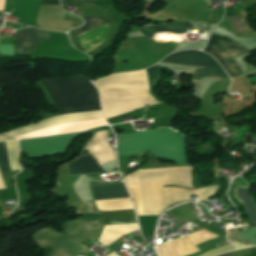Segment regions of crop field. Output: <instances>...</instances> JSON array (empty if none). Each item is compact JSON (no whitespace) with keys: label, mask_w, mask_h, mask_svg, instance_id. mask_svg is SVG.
<instances>
[{"label":"crop field","mask_w":256,"mask_h":256,"mask_svg":"<svg viewBox=\"0 0 256 256\" xmlns=\"http://www.w3.org/2000/svg\"><path fill=\"white\" fill-rule=\"evenodd\" d=\"M104 220L81 223L79 226L83 229L85 234L90 238H98L103 230Z\"/></svg>","instance_id":"crop-field-15"},{"label":"crop field","mask_w":256,"mask_h":256,"mask_svg":"<svg viewBox=\"0 0 256 256\" xmlns=\"http://www.w3.org/2000/svg\"><path fill=\"white\" fill-rule=\"evenodd\" d=\"M42 4H59L58 0H43Z\"/></svg>","instance_id":"crop-field-19"},{"label":"crop field","mask_w":256,"mask_h":256,"mask_svg":"<svg viewBox=\"0 0 256 256\" xmlns=\"http://www.w3.org/2000/svg\"><path fill=\"white\" fill-rule=\"evenodd\" d=\"M5 144H6L7 155H8V160H9L11 171L20 170L17 141L5 142ZM5 144H4V142H0V170H1V172L10 171L9 165H8V160H7V155H6V150H5ZM0 185H1L2 189H5L1 174H0Z\"/></svg>","instance_id":"crop-field-10"},{"label":"crop field","mask_w":256,"mask_h":256,"mask_svg":"<svg viewBox=\"0 0 256 256\" xmlns=\"http://www.w3.org/2000/svg\"><path fill=\"white\" fill-rule=\"evenodd\" d=\"M94 200L129 197L123 183H104L92 181ZM99 210L133 208L130 198L94 201ZM137 222L133 209L105 212V225ZM138 228L137 223L104 226L99 242L108 245L120 236Z\"/></svg>","instance_id":"crop-field-4"},{"label":"crop field","mask_w":256,"mask_h":256,"mask_svg":"<svg viewBox=\"0 0 256 256\" xmlns=\"http://www.w3.org/2000/svg\"><path fill=\"white\" fill-rule=\"evenodd\" d=\"M33 239L37 244L54 246L55 249L50 256H78L89 251L79 242L66 239L53 230L42 229L33 236Z\"/></svg>","instance_id":"crop-field-7"},{"label":"crop field","mask_w":256,"mask_h":256,"mask_svg":"<svg viewBox=\"0 0 256 256\" xmlns=\"http://www.w3.org/2000/svg\"><path fill=\"white\" fill-rule=\"evenodd\" d=\"M192 27L190 23H177V24H168L161 25L159 27H142L140 28L142 33L147 34H157V35H167L172 34L174 36L183 37L186 33V28Z\"/></svg>","instance_id":"crop-field-13"},{"label":"crop field","mask_w":256,"mask_h":256,"mask_svg":"<svg viewBox=\"0 0 256 256\" xmlns=\"http://www.w3.org/2000/svg\"><path fill=\"white\" fill-rule=\"evenodd\" d=\"M203 51L214 56L231 77L242 74L231 56L249 52L229 38L213 34L210 35L208 45Z\"/></svg>","instance_id":"crop-field-6"},{"label":"crop field","mask_w":256,"mask_h":256,"mask_svg":"<svg viewBox=\"0 0 256 256\" xmlns=\"http://www.w3.org/2000/svg\"><path fill=\"white\" fill-rule=\"evenodd\" d=\"M233 249H236V248L233 245L230 244L228 246L213 249V250H211V251H209L205 254H202L200 256H212V255L218 254L220 252L230 251V250H233Z\"/></svg>","instance_id":"crop-field-18"},{"label":"crop field","mask_w":256,"mask_h":256,"mask_svg":"<svg viewBox=\"0 0 256 256\" xmlns=\"http://www.w3.org/2000/svg\"><path fill=\"white\" fill-rule=\"evenodd\" d=\"M88 238L86 237V235L84 234V235H82L81 237H79L77 240H79V241H81L82 243L84 242V241H86Z\"/></svg>","instance_id":"crop-field-20"},{"label":"crop field","mask_w":256,"mask_h":256,"mask_svg":"<svg viewBox=\"0 0 256 256\" xmlns=\"http://www.w3.org/2000/svg\"><path fill=\"white\" fill-rule=\"evenodd\" d=\"M62 1H65V0H61V2H62ZM77 1H83V0H73V2H77Z\"/></svg>","instance_id":"crop-field-24"},{"label":"crop field","mask_w":256,"mask_h":256,"mask_svg":"<svg viewBox=\"0 0 256 256\" xmlns=\"http://www.w3.org/2000/svg\"><path fill=\"white\" fill-rule=\"evenodd\" d=\"M83 19L86 24L81 29H79L77 31V33H76L77 37L110 23V21H108L102 17H85Z\"/></svg>","instance_id":"crop-field-14"},{"label":"crop field","mask_w":256,"mask_h":256,"mask_svg":"<svg viewBox=\"0 0 256 256\" xmlns=\"http://www.w3.org/2000/svg\"><path fill=\"white\" fill-rule=\"evenodd\" d=\"M234 256H256V246L233 252Z\"/></svg>","instance_id":"crop-field-17"},{"label":"crop field","mask_w":256,"mask_h":256,"mask_svg":"<svg viewBox=\"0 0 256 256\" xmlns=\"http://www.w3.org/2000/svg\"><path fill=\"white\" fill-rule=\"evenodd\" d=\"M17 40L18 54H27L38 47L41 39H47L50 36L39 30L19 31L15 34Z\"/></svg>","instance_id":"crop-field-11"},{"label":"crop field","mask_w":256,"mask_h":256,"mask_svg":"<svg viewBox=\"0 0 256 256\" xmlns=\"http://www.w3.org/2000/svg\"><path fill=\"white\" fill-rule=\"evenodd\" d=\"M108 256H118V255H116L115 253H110Z\"/></svg>","instance_id":"crop-field-23"},{"label":"crop field","mask_w":256,"mask_h":256,"mask_svg":"<svg viewBox=\"0 0 256 256\" xmlns=\"http://www.w3.org/2000/svg\"><path fill=\"white\" fill-rule=\"evenodd\" d=\"M1 140H11V138H7V137H4V136L0 135V141Z\"/></svg>","instance_id":"crop-field-21"},{"label":"crop field","mask_w":256,"mask_h":256,"mask_svg":"<svg viewBox=\"0 0 256 256\" xmlns=\"http://www.w3.org/2000/svg\"><path fill=\"white\" fill-rule=\"evenodd\" d=\"M67 134L20 141L21 152L30 157L45 155L53 152H63L67 143L77 135Z\"/></svg>","instance_id":"crop-field-8"},{"label":"crop field","mask_w":256,"mask_h":256,"mask_svg":"<svg viewBox=\"0 0 256 256\" xmlns=\"http://www.w3.org/2000/svg\"><path fill=\"white\" fill-rule=\"evenodd\" d=\"M230 22L232 24L234 31L245 32L249 30L247 26L243 23L242 17L236 16V15L231 16Z\"/></svg>","instance_id":"crop-field-16"},{"label":"crop field","mask_w":256,"mask_h":256,"mask_svg":"<svg viewBox=\"0 0 256 256\" xmlns=\"http://www.w3.org/2000/svg\"><path fill=\"white\" fill-rule=\"evenodd\" d=\"M220 256H233L232 252Z\"/></svg>","instance_id":"crop-field-22"},{"label":"crop field","mask_w":256,"mask_h":256,"mask_svg":"<svg viewBox=\"0 0 256 256\" xmlns=\"http://www.w3.org/2000/svg\"><path fill=\"white\" fill-rule=\"evenodd\" d=\"M50 94L58 114L101 110L98 93L83 77L40 81ZM101 111L57 115L5 135L17 139L82 131L105 125Z\"/></svg>","instance_id":"crop-field-2"},{"label":"crop field","mask_w":256,"mask_h":256,"mask_svg":"<svg viewBox=\"0 0 256 256\" xmlns=\"http://www.w3.org/2000/svg\"><path fill=\"white\" fill-rule=\"evenodd\" d=\"M66 166L69 175L105 172L85 151H83L80 158L66 164Z\"/></svg>","instance_id":"crop-field-12"},{"label":"crop field","mask_w":256,"mask_h":256,"mask_svg":"<svg viewBox=\"0 0 256 256\" xmlns=\"http://www.w3.org/2000/svg\"><path fill=\"white\" fill-rule=\"evenodd\" d=\"M144 150L174 160L176 164H186L183 136L174 131L159 128L149 132L118 135V156ZM136 174L143 215H158L165 209L163 185L193 187L191 167L137 170ZM136 174L133 172L126 175L124 180L138 215H142Z\"/></svg>","instance_id":"crop-field-1"},{"label":"crop field","mask_w":256,"mask_h":256,"mask_svg":"<svg viewBox=\"0 0 256 256\" xmlns=\"http://www.w3.org/2000/svg\"><path fill=\"white\" fill-rule=\"evenodd\" d=\"M162 61L184 65L208 66L206 68L196 70L191 75V77L195 79H200L208 75H216L223 79L229 77L210 55L202 51H180L169 55Z\"/></svg>","instance_id":"crop-field-5"},{"label":"crop field","mask_w":256,"mask_h":256,"mask_svg":"<svg viewBox=\"0 0 256 256\" xmlns=\"http://www.w3.org/2000/svg\"><path fill=\"white\" fill-rule=\"evenodd\" d=\"M94 84L100 91L107 120L157 103L150 96L144 70L104 77Z\"/></svg>","instance_id":"crop-field-3"},{"label":"crop field","mask_w":256,"mask_h":256,"mask_svg":"<svg viewBox=\"0 0 256 256\" xmlns=\"http://www.w3.org/2000/svg\"><path fill=\"white\" fill-rule=\"evenodd\" d=\"M218 186L198 190L184 189L180 187H164L166 207L180 201L191 200L190 194L197 193L198 200L206 199L216 193Z\"/></svg>","instance_id":"crop-field-9"}]
</instances>
